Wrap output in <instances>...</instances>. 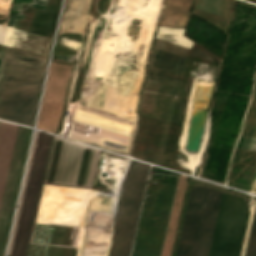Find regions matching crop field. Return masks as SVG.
Instances as JSON below:
<instances>
[{
	"label": "crop field",
	"instance_id": "8a807250",
	"mask_svg": "<svg viewBox=\"0 0 256 256\" xmlns=\"http://www.w3.org/2000/svg\"><path fill=\"white\" fill-rule=\"evenodd\" d=\"M187 52L156 39L130 157L160 166L164 161Z\"/></svg>",
	"mask_w": 256,
	"mask_h": 256
},
{
	"label": "crop field",
	"instance_id": "ac0d7876",
	"mask_svg": "<svg viewBox=\"0 0 256 256\" xmlns=\"http://www.w3.org/2000/svg\"><path fill=\"white\" fill-rule=\"evenodd\" d=\"M222 191L192 187L175 256H208ZM250 211L245 199L223 194L209 256H240Z\"/></svg>",
	"mask_w": 256,
	"mask_h": 256
},
{
	"label": "crop field",
	"instance_id": "34b2d1b8",
	"mask_svg": "<svg viewBox=\"0 0 256 256\" xmlns=\"http://www.w3.org/2000/svg\"><path fill=\"white\" fill-rule=\"evenodd\" d=\"M47 58L14 50L0 107V118L32 125Z\"/></svg>",
	"mask_w": 256,
	"mask_h": 256
},
{
	"label": "crop field",
	"instance_id": "412701ff",
	"mask_svg": "<svg viewBox=\"0 0 256 256\" xmlns=\"http://www.w3.org/2000/svg\"><path fill=\"white\" fill-rule=\"evenodd\" d=\"M17 125L0 121V201L9 167ZM32 130L18 128L10 167L0 205V256L4 255L15 202Z\"/></svg>",
	"mask_w": 256,
	"mask_h": 256
},
{
	"label": "crop field",
	"instance_id": "f4fd0767",
	"mask_svg": "<svg viewBox=\"0 0 256 256\" xmlns=\"http://www.w3.org/2000/svg\"><path fill=\"white\" fill-rule=\"evenodd\" d=\"M52 138V135L38 131L34 134L7 253L21 255L26 253ZM11 254L7 256H21Z\"/></svg>",
	"mask_w": 256,
	"mask_h": 256
},
{
	"label": "crop field",
	"instance_id": "dd49c442",
	"mask_svg": "<svg viewBox=\"0 0 256 256\" xmlns=\"http://www.w3.org/2000/svg\"><path fill=\"white\" fill-rule=\"evenodd\" d=\"M99 152L54 136L43 183L91 188Z\"/></svg>",
	"mask_w": 256,
	"mask_h": 256
},
{
	"label": "crop field",
	"instance_id": "e52e79f7",
	"mask_svg": "<svg viewBox=\"0 0 256 256\" xmlns=\"http://www.w3.org/2000/svg\"><path fill=\"white\" fill-rule=\"evenodd\" d=\"M149 165L130 163L109 256H129Z\"/></svg>",
	"mask_w": 256,
	"mask_h": 256
},
{
	"label": "crop field",
	"instance_id": "d8731c3e",
	"mask_svg": "<svg viewBox=\"0 0 256 256\" xmlns=\"http://www.w3.org/2000/svg\"><path fill=\"white\" fill-rule=\"evenodd\" d=\"M255 123H256V100L254 101V105H253V108H252V112H251V115H250V119H249V122H248V126H247V129H246V133H245L244 140H243L241 148L249 149L251 139H252V135H253V131H254V127H255ZM250 149L256 150V128H255V132H254V136H253V140H252V144H251Z\"/></svg>",
	"mask_w": 256,
	"mask_h": 256
},
{
	"label": "crop field",
	"instance_id": "5a996713",
	"mask_svg": "<svg viewBox=\"0 0 256 256\" xmlns=\"http://www.w3.org/2000/svg\"><path fill=\"white\" fill-rule=\"evenodd\" d=\"M227 2V0H220L219 4V0H199L197 7L216 14L219 4L217 14L224 16Z\"/></svg>",
	"mask_w": 256,
	"mask_h": 256
},
{
	"label": "crop field",
	"instance_id": "3316defc",
	"mask_svg": "<svg viewBox=\"0 0 256 256\" xmlns=\"http://www.w3.org/2000/svg\"><path fill=\"white\" fill-rule=\"evenodd\" d=\"M245 256H256V211Z\"/></svg>",
	"mask_w": 256,
	"mask_h": 256
}]
</instances>
